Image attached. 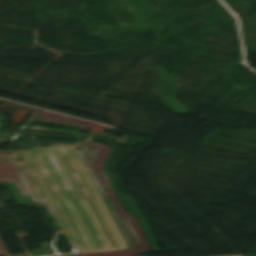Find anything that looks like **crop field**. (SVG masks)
<instances>
[{
	"instance_id": "8a807250",
	"label": "crop field",
	"mask_w": 256,
	"mask_h": 256,
	"mask_svg": "<svg viewBox=\"0 0 256 256\" xmlns=\"http://www.w3.org/2000/svg\"><path fill=\"white\" fill-rule=\"evenodd\" d=\"M20 153L75 254L129 248L74 145Z\"/></svg>"
},
{
	"instance_id": "ac0d7876",
	"label": "crop field",
	"mask_w": 256,
	"mask_h": 256,
	"mask_svg": "<svg viewBox=\"0 0 256 256\" xmlns=\"http://www.w3.org/2000/svg\"><path fill=\"white\" fill-rule=\"evenodd\" d=\"M31 175L19 151L0 152V178Z\"/></svg>"
},
{
	"instance_id": "34b2d1b8",
	"label": "crop field",
	"mask_w": 256,
	"mask_h": 256,
	"mask_svg": "<svg viewBox=\"0 0 256 256\" xmlns=\"http://www.w3.org/2000/svg\"><path fill=\"white\" fill-rule=\"evenodd\" d=\"M33 204L46 203V200L35 182L33 176L20 178Z\"/></svg>"
}]
</instances>
